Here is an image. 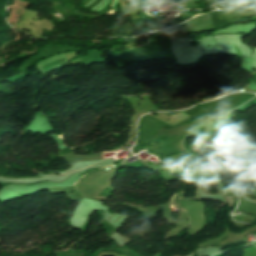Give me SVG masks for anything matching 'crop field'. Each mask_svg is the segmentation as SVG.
Instances as JSON below:
<instances>
[{
  "label": "crop field",
  "instance_id": "8a807250",
  "mask_svg": "<svg viewBox=\"0 0 256 256\" xmlns=\"http://www.w3.org/2000/svg\"><path fill=\"white\" fill-rule=\"evenodd\" d=\"M182 209V211H185V212H187L186 210H184L183 208H181Z\"/></svg>",
  "mask_w": 256,
  "mask_h": 256
}]
</instances>
